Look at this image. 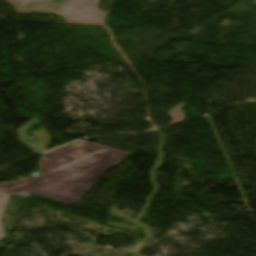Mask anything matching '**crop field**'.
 <instances>
[{
    "instance_id": "crop-field-1",
    "label": "crop field",
    "mask_w": 256,
    "mask_h": 256,
    "mask_svg": "<svg viewBox=\"0 0 256 256\" xmlns=\"http://www.w3.org/2000/svg\"><path fill=\"white\" fill-rule=\"evenodd\" d=\"M129 155L131 154L80 140L41 155L38 171L42 175H30L9 183L2 182L0 192L23 197L35 193L72 205L102 173Z\"/></svg>"
},
{
    "instance_id": "crop-field-2",
    "label": "crop field",
    "mask_w": 256,
    "mask_h": 256,
    "mask_svg": "<svg viewBox=\"0 0 256 256\" xmlns=\"http://www.w3.org/2000/svg\"><path fill=\"white\" fill-rule=\"evenodd\" d=\"M8 198H9V195L0 193V217H1V214L3 212L4 206H5ZM3 236L4 235H3V232H2L1 227H0V238L3 237Z\"/></svg>"
}]
</instances>
